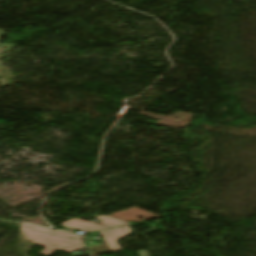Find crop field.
Returning <instances> with one entry per match:
<instances>
[{
  "label": "crop field",
  "mask_w": 256,
  "mask_h": 256,
  "mask_svg": "<svg viewBox=\"0 0 256 256\" xmlns=\"http://www.w3.org/2000/svg\"><path fill=\"white\" fill-rule=\"evenodd\" d=\"M130 233H132V230L129 226L109 229L100 232L101 236L107 242L111 252L122 251L116 241Z\"/></svg>",
  "instance_id": "crop-field-2"
},
{
  "label": "crop field",
  "mask_w": 256,
  "mask_h": 256,
  "mask_svg": "<svg viewBox=\"0 0 256 256\" xmlns=\"http://www.w3.org/2000/svg\"><path fill=\"white\" fill-rule=\"evenodd\" d=\"M20 231L35 245L46 247L40 253L46 256H49L55 250L73 252L83 248L81 242L82 237L67 234L61 231H52L25 223L21 224ZM71 237L75 239L70 241L69 239Z\"/></svg>",
  "instance_id": "crop-field-1"
},
{
  "label": "crop field",
  "mask_w": 256,
  "mask_h": 256,
  "mask_svg": "<svg viewBox=\"0 0 256 256\" xmlns=\"http://www.w3.org/2000/svg\"><path fill=\"white\" fill-rule=\"evenodd\" d=\"M140 252V256H149L145 250H141Z\"/></svg>",
  "instance_id": "crop-field-5"
},
{
  "label": "crop field",
  "mask_w": 256,
  "mask_h": 256,
  "mask_svg": "<svg viewBox=\"0 0 256 256\" xmlns=\"http://www.w3.org/2000/svg\"><path fill=\"white\" fill-rule=\"evenodd\" d=\"M94 218H99L101 220H104L103 222L99 223V224H103L106 226H110V227H114V226H120V225H124V224H129L128 222L110 217V216H96Z\"/></svg>",
  "instance_id": "crop-field-4"
},
{
  "label": "crop field",
  "mask_w": 256,
  "mask_h": 256,
  "mask_svg": "<svg viewBox=\"0 0 256 256\" xmlns=\"http://www.w3.org/2000/svg\"><path fill=\"white\" fill-rule=\"evenodd\" d=\"M61 225L70 227V228H74V229H77L80 231H84V232H93V231L109 228L106 226H102V225H98L95 223H91L88 221H82V220H78V219H72L68 222L62 223Z\"/></svg>",
  "instance_id": "crop-field-3"
}]
</instances>
